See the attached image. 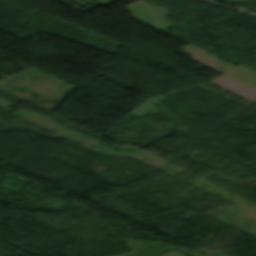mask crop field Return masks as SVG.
<instances>
[{
	"instance_id": "obj_1",
	"label": "crop field",
	"mask_w": 256,
	"mask_h": 256,
	"mask_svg": "<svg viewBox=\"0 0 256 256\" xmlns=\"http://www.w3.org/2000/svg\"><path fill=\"white\" fill-rule=\"evenodd\" d=\"M159 256H184V255H182V254H180L179 252L173 250V251L164 253V254L159 255Z\"/></svg>"
},
{
	"instance_id": "obj_2",
	"label": "crop field",
	"mask_w": 256,
	"mask_h": 256,
	"mask_svg": "<svg viewBox=\"0 0 256 256\" xmlns=\"http://www.w3.org/2000/svg\"><path fill=\"white\" fill-rule=\"evenodd\" d=\"M93 1H96V2H98V3H100V4L104 5V6H106V5L112 3V2L115 1V0H93Z\"/></svg>"
}]
</instances>
